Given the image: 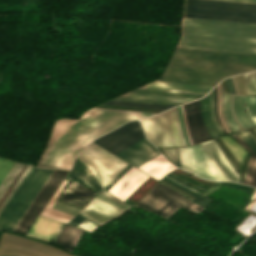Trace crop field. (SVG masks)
I'll return each instance as SVG.
<instances>
[{"label": "crop field", "mask_w": 256, "mask_h": 256, "mask_svg": "<svg viewBox=\"0 0 256 256\" xmlns=\"http://www.w3.org/2000/svg\"><path fill=\"white\" fill-rule=\"evenodd\" d=\"M150 115L153 114L92 108L79 120H58L37 166L69 169L75 156L94 138L122 123Z\"/></svg>", "instance_id": "1"}, {"label": "crop field", "mask_w": 256, "mask_h": 256, "mask_svg": "<svg viewBox=\"0 0 256 256\" xmlns=\"http://www.w3.org/2000/svg\"><path fill=\"white\" fill-rule=\"evenodd\" d=\"M251 70H256V55L176 48L157 80L213 86Z\"/></svg>", "instance_id": "2"}, {"label": "crop field", "mask_w": 256, "mask_h": 256, "mask_svg": "<svg viewBox=\"0 0 256 256\" xmlns=\"http://www.w3.org/2000/svg\"><path fill=\"white\" fill-rule=\"evenodd\" d=\"M177 47L256 54V24L182 17Z\"/></svg>", "instance_id": "3"}, {"label": "crop field", "mask_w": 256, "mask_h": 256, "mask_svg": "<svg viewBox=\"0 0 256 256\" xmlns=\"http://www.w3.org/2000/svg\"><path fill=\"white\" fill-rule=\"evenodd\" d=\"M52 172L50 169L31 167L0 213V231H12Z\"/></svg>", "instance_id": "4"}, {"label": "crop field", "mask_w": 256, "mask_h": 256, "mask_svg": "<svg viewBox=\"0 0 256 256\" xmlns=\"http://www.w3.org/2000/svg\"><path fill=\"white\" fill-rule=\"evenodd\" d=\"M236 2L256 3V0H226ZM256 4L213 1L187 0V17L256 23Z\"/></svg>", "instance_id": "5"}, {"label": "crop field", "mask_w": 256, "mask_h": 256, "mask_svg": "<svg viewBox=\"0 0 256 256\" xmlns=\"http://www.w3.org/2000/svg\"><path fill=\"white\" fill-rule=\"evenodd\" d=\"M148 139L159 147L186 145L177 107L146 120H140Z\"/></svg>", "instance_id": "6"}, {"label": "crop field", "mask_w": 256, "mask_h": 256, "mask_svg": "<svg viewBox=\"0 0 256 256\" xmlns=\"http://www.w3.org/2000/svg\"><path fill=\"white\" fill-rule=\"evenodd\" d=\"M191 201L158 183L136 206L143 207L169 219L180 207L197 214L203 210V207L192 204Z\"/></svg>", "instance_id": "7"}, {"label": "crop field", "mask_w": 256, "mask_h": 256, "mask_svg": "<svg viewBox=\"0 0 256 256\" xmlns=\"http://www.w3.org/2000/svg\"><path fill=\"white\" fill-rule=\"evenodd\" d=\"M78 158L92 170L103 188L128 164L94 143Z\"/></svg>", "instance_id": "8"}, {"label": "crop field", "mask_w": 256, "mask_h": 256, "mask_svg": "<svg viewBox=\"0 0 256 256\" xmlns=\"http://www.w3.org/2000/svg\"><path fill=\"white\" fill-rule=\"evenodd\" d=\"M130 208L131 206L123 204L103 191L94 197L80 214L98 225H103Z\"/></svg>", "instance_id": "9"}, {"label": "crop field", "mask_w": 256, "mask_h": 256, "mask_svg": "<svg viewBox=\"0 0 256 256\" xmlns=\"http://www.w3.org/2000/svg\"><path fill=\"white\" fill-rule=\"evenodd\" d=\"M67 172L68 171L54 170L34 201L31 203L27 211L24 213L18 224L13 229V232L25 235L26 231L32 225Z\"/></svg>", "instance_id": "10"}, {"label": "crop field", "mask_w": 256, "mask_h": 256, "mask_svg": "<svg viewBox=\"0 0 256 256\" xmlns=\"http://www.w3.org/2000/svg\"><path fill=\"white\" fill-rule=\"evenodd\" d=\"M143 137L145 135L139 122L134 121L124 124L94 142L116 155Z\"/></svg>", "instance_id": "11"}, {"label": "crop field", "mask_w": 256, "mask_h": 256, "mask_svg": "<svg viewBox=\"0 0 256 256\" xmlns=\"http://www.w3.org/2000/svg\"><path fill=\"white\" fill-rule=\"evenodd\" d=\"M179 155L184 170L204 179L218 181L201 144L181 147Z\"/></svg>", "instance_id": "12"}, {"label": "crop field", "mask_w": 256, "mask_h": 256, "mask_svg": "<svg viewBox=\"0 0 256 256\" xmlns=\"http://www.w3.org/2000/svg\"><path fill=\"white\" fill-rule=\"evenodd\" d=\"M220 181L238 182L239 177L221 153L214 140L202 143Z\"/></svg>", "instance_id": "13"}, {"label": "crop field", "mask_w": 256, "mask_h": 256, "mask_svg": "<svg viewBox=\"0 0 256 256\" xmlns=\"http://www.w3.org/2000/svg\"><path fill=\"white\" fill-rule=\"evenodd\" d=\"M186 121L193 143L210 140L201 118L200 100L184 105Z\"/></svg>", "instance_id": "14"}, {"label": "crop field", "mask_w": 256, "mask_h": 256, "mask_svg": "<svg viewBox=\"0 0 256 256\" xmlns=\"http://www.w3.org/2000/svg\"><path fill=\"white\" fill-rule=\"evenodd\" d=\"M149 176L131 168L120 180H118L107 192L124 201L135 189H137Z\"/></svg>", "instance_id": "15"}, {"label": "crop field", "mask_w": 256, "mask_h": 256, "mask_svg": "<svg viewBox=\"0 0 256 256\" xmlns=\"http://www.w3.org/2000/svg\"><path fill=\"white\" fill-rule=\"evenodd\" d=\"M244 102L246 104V112L253 122L245 113ZM234 110L239 123L244 129L256 125V96L234 95Z\"/></svg>", "instance_id": "16"}, {"label": "crop field", "mask_w": 256, "mask_h": 256, "mask_svg": "<svg viewBox=\"0 0 256 256\" xmlns=\"http://www.w3.org/2000/svg\"><path fill=\"white\" fill-rule=\"evenodd\" d=\"M96 193L72 180L59 199L84 207Z\"/></svg>", "instance_id": "17"}, {"label": "crop field", "mask_w": 256, "mask_h": 256, "mask_svg": "<svg viewBox=\"0 0 256 256\" xmlns=\"http://www.w3.org/2000/svg\"><path fill=\"white\" fill-rule=\"evenodd\" d=\"M139 88L206 94L212 87L154 81Z\"/></svg>", "instance_id": "18"}, {"label": "crop field", "mask_w": 256, "mask_h": 256, "mask_svg": "<svg viewBox=\"0 0 256 256\" xmlns=\"http://www.w3.org/2000/svg\"><path fill=\"white\" fill-rule=\"evenodd\" d=\"M59 224V222L38 216L27 234L51 241Z\"/></svg>", "instance_id": "19"}, {"label": "crop field", "mask_w": 256, "mask_h": 256, "mask_svg": "<svg viewBox=\"0 0 256 256\" xmlns=\"http://www.w3.org/2000/svg\"><path fill=\"white\" fill-rule=\"evenodd\" d=\"M141 171L149 174L150 176L160 180L168 172L175 169V166L168 162L161 154L147 162L140 168Z\"/></svg>", "instance_id": "20"}, {"label": "crop field", "mask_w": 256, "mask_h": 256, "mask_svg": "<svg viewBox=\"0 0 256 256\" xmlns=\"http://www.w3.org/2000/svg\"><path fill=\"white\" fill-rule=\"evenodd\" d=\"M72 178L80 180L83 184L90 187L91 190L95 191L96 193L102 190L90 170L77 159L75 160V164L67 179L71 180Z\"/></svg>", "instance_id": "21"}, {"label": "crop field", "mask_w": 256, "mask_h": 256, "mask_svg": "<svg viewBox=\"0 0 256 256\" xmlns=\"http://www.w3.org/2000/svg\"><path fill=\"white\" fill-rule=\"evenodd\" d=\"M82 233L83 230L65 224L56 244L72 252Z\"/></svg>", "instance_id": "22"}, {"label": "crop field", "mask_w": 256, "mask_h": 256, "mask_svg": "<svg viewBox=\"0 0 256 256\" xmlns=\"http://www.w3.org/2000/svg\"><path fill=\"white\" fill-rule=\"evenodd\" d=\"M158 154L160 153L157 148L150 143L123 160L138 167Z\"/></svg>", "instance_id": "23"}, {"label": "crop field", "mask_w": 256, "mask_h": 256, "mask_svg": "<svg viewBox=\"0 0 256 256\" xmlns=\"http://www.w3.org/2000/svg\"><path fill=\"white\" fill-rule=\"evenodd\" d=\"M231 136L252 155L242 183L256 187V154L235 134Z\"/></svg>", "instance_id": "24"}, {"label": "crop field", "mask_w": 256, "mask_h": 256, "mask_svg": "<svg viewBox=\"0 0 256 256\" xmlns=\"http://www.w3.org/2000/svg\"><path fill=\"white\" fill-rule=\"evenodd\" d=\"M67 183H68V180L65 179L41 215L51 217V218H54L57 220H61L66 223L73 217V215H70V214L64 213L62 211L51 208L52 205L55 203L57 197L60 195V193L65 188Z\"/></svg>", "instance_id": "25"}, {"label": "crop field", "mask_w": 256, "mask_h": 256, "mask_svg": "<svg viewBox=\"0 0 256 256\" xmlns=\"http://www.w3.org/2000/svg\"><path fill=\"white\" fill-rule=\"evenodd\" d=\"M201 107H202V117H203L205 127L209 131L212 139L218 138L221 135L219 134L218 130L216 129V127L213 123V119L211 117L210 94L207 97L201 99Z\"/></svg>", "instance_id": "26"}, {"label": "crop field", "mask_w": 256, "mask_h": 256, "mask_svg": "<svg viewBox=\"0 0 256 256\" xmlns=\"http://www.w3.org/2000/svg\"><path fill=\"white\" fill-rule=\"evenodd\" d=\"M103 104L116 105V106H127V107H137V108H148V109H159V110H166V109L172 107L171 105L149 104V103L117 101V100H110Z\"/></svg>", "instance_id": "27"}, {"label": "crop field", "mask_w": 256, "mask_h": 256, "mask_svg": "<svg viewBox=\"0 0 256 256\" xmlns=\"http://www.w3.org/2000/svg\"><path fill=\"white\" fill-rule=\"evenodd\" d=\"M221 139L223 140V142L227 145V147L232 151V153L236 156V158L243 165V160L248 155V153L245 151V149L241 145H239L229 135L223 136V137H221Z\"/></svg>", "instance_id": "28"}, {"label": "crop field", "mask_w": 256, "mask_h": 256, "mask_svg": "<svg viewBox=\"0 0 256 256\" xmlns=\"http://www.w3.org/2000/svg\"><path fill=\"white\" fill-rule=\"evenodd\" d=\"M23 167V164L15 163L13 168L10 170L4 181L0 185V199L16 177V175L19 173L21 168Z\"/></svg>", "instance_id": "29"}, {"label": "crop field", "mask_w": 256, "mask_h": 256, "mask_svg": "<svg viewBox=\"0 0 256 256\" xmlns=\"http://www.w3.org/2000/svg\"><path fill=\"white\" fill-rule=\"evenodd\" d=\"M122 96L123 97H134V98H145V99L179 101V102H186V101H189V100H193L192 98L168 97V96L133 94V93H126V94H124Z\"/></svg>", "instance_id": "30"}, {"label": "crop field", "mask_w": 256, "mask_h": 256, "mask_svg": "<svg viewBox=\"0 0 256 256\" xmlns=\"http://www.w3.org/2000/svg\"><path fill=\"white\" fill-rule=\"evenodd\" d=\"M131 92L145 93V94H157V95H168V96H180V97H192V98H199V97L204 96V95H200V94H188V93L165 92V91L142 90V89H135Z\"/></svg>", "instance_id": "31"}, {"label": "crop field", "mask_w": 256, "mask_h": 256, "mask_svg": "<svg viewBox=\"0 0 256 256\" xmlns=\"http://www.w3.org/2000/svg\"><path fill=\"white\" fill-rule=\"evenodd\" d=\"M162 180H164V181H166V182H168V183H170V184H172V185H174V186H176V187H178V188H180V189H182V190L188 192L189 194L195 196L196 198L192 201V203H195V204H198V205H201V206L206 207V206H208L210 203L213 202V200H211V199H209V198H207V197H204V196L197 195V194H195V193H193V192H191V191H189V190H187V189H185V188H183V187L177 185L176 183H173V182H171V181H169V180H167V179H165V178L162 179Z\"/></svg>", "instance_id": "32"}, {"label": "crop field", "mask_w": 256, "mask_h": 256, "mask_svg": "<svg viewBox=\"0 0 256 256\" xmlns=\"http://www.w3.org/2000/svg\"><path fill=\"white\" fill-rule=\"evenodd\" d=\"M148 143H150V142L146 138H143L142 140L138 141L137 143H135L134 145L127 148L126 150H124L123 152L119 153L116 156L123 159V158L127 157L128 155L132 154L133 152H135L136 150L140 149L141 147L145 146Z\"/></svg>", "instance_id": "33"}, {"label": "crop field", "mask_w": 256, "mask_h": 256, "mask_svg": "<svg viewBox=\"0 0 256 256\" xmlns=\"http://www.w3.org/2000/svg\"><path fill=\"white\" fill-rule=\"evenodd\" d=\"M244 75L246 79L248 94H256V72L246 73Z\"/></svg>", "instance_id": "34"}, {"label": "crop field", "mask_w": 256, "mask_h": 256, "mask_svg": "<svg viewBox=\"0 0 256 256\" xmlns=\"http://www.w3.org/2000/svg\"><path fill=\"white\" fill-rule=\"evenodd\" d=\"M242 140H244L256 152V139L250 134L248 130L236 133Z\"/></svg>", "instance_id": "35"}, {"label": "crop field", "mask_w": 256, "mask_h": 256, "mask_svg": "<svg viewBox=\"0 0 256 256\" xmlns=\"http://www.w3.org/2000/svg\"><path fill=\"white\" fill-rule=\"evenodd\" d=\"M224 109H225V115L226 118L230 124V126L232 127L233 131L235 130H239V128L237 127L236 123L234 122L231 114H230V109H229V95L225 93V98H224Z\"/></svg>", "instance_id": "36"}, {"label": "crop field", "mask_w": 256, "mask_h": 256, "mask_svg": "<svg viewBox=\"0 0 256 256\" xmlns=\"http://www.w3.org/2000/svg\"><path fill=\"white\" fill-rule=\"evenodd\" d=\"M3 159V158H2ZM0 159V183L3 181L9 170L14 165V162Z\"/></svg>", "instance_id": "37"}, {"label": "crop field", "mask_w": 256, "mask_h": 256, "mask_svg": "<svg viewBox=\"0 0 256 256\" xmlns=\"http://www.w3.org/2000/svg\"><path fill=\"white\" fill-rule=\"evenodd\" d=\"M30 169L29 166H27V168L25 169V171L22 173V175L20 176V178L18 179V181L16 182V184L13 186V188L11 189V191L9 192V194L7 195V197L4 199V201L2 202V204L0 205V212L3 209V207L5 206V204L7 203V201L9 200V198L11 197V195L13 194V192L15 191V189L17 188V186L19 185V183L22 181V179L24 178V176L26 175V173L28 172V170Z\"/></svg>", "instance_id": "38"}, {"label": "crop field", "mask_w": 256, "mask_h": 256, "mask_svg": "<svg viewBox=\"0 0 256 256\" xmlns=\"http://www.w3.org/2000/svg\"><path fill=\"white\" fill-rule=\"evenodd\" d=\"M114 99L117 100H128V101H139V102H149V103H160V104H171V105H178L181 104L179 102H168V101H156V100H145V99H134V98H122L116 97Z\"/></svg>", "instance_id": "39"}, {"label": "crop field", "mask_w": 256, "mask_h": 256, "mask_svg": "<svg viewBox=\"0 0 256 256\" xmlns=\"http://www.w3.org/2000/svg\"><path fill=\"white\" fill-rule=\"evenodd\" d=\"M132 166L129 164L104 188V190H108L119 178H121Z\"/></svg>", "instance_id": "40"}, {"label": "crop field", "mask_w": 256, "mask_h": 256, "mask_svg": "<svg viewBox=\"0 0 256 256\" xmlns=\"http://www.w3.org/2000/svg\"><path fill=\"white\" fill-rule=\"evenodd\" d=\"M221 184L223 186H227V187H231V188H235V189H239V190H243V191H249L250 187L248 186H243L241 184H237V183H230V182H221Z\"/></svg>", "instance_id": "41"}, {"label": "crop field", "mask_w": 256, "mask_h": 256, "mask_svg": "<svg viewBox=\"0 0 256 256\" xmlns=\"http://www.w3.org/2000/svg\"><path fill=\"white\" fill-rule=\"evenodd\" d=\"M79 227H81V228H83V229H85V230H87V231H89V232H92V231H94L96 228H97V225H95V224H93V223H91L90 221H88V220H84L80 225H79Z\"/></svg>", "instance_id": "42"}, {"label": "crop field", "mask_w": 256, "mask_h": 256, "mask_svg": "<svg viewBox=\"0 0 256 256\" xmlns=\"http://www.w3.org/2000/svg\"><path fill=\"white\" fill-rule=\"evenodd\" d=\"M217 90H218V114H219V119L224 127V129L227 131V133H229L228 128L226 127V125L224 124L223 120H222V116H221V110H220V89H219V85H217Z\"/></svg>", "instance_id": "43"}, {"label": "crop field", "mask_w": 256, "mask_h": 256, "mask_svg": "<svg viewBox=\"0 0 256 256\" xmlns=\"http://www.w3.org/2000/svg\"><path fill=\"white\" fill-rule=\"evenodd\" d=\"M220 89H221V109H222L223 120H224V122L226 123L227 127L229 128L230 132H232V129H231V127L229 126V124H228V122H227V120H226V118H225V115H224V109H223V95H224V91H223L221 85H220Z\"/></svg>", "instance_id": "44"}, {"label": "crop field", "mask_w": 256, "mask_h": 256, "mask_svg": "<svg viewBox=\"0 0 256 256\" xmlns=\"http://www.w3.org/2000/svg\"><path fill=\"white\" fill-rule=\"evenodd\" d=\"M163 151L166 153V155L169 157L170 160L176 163L174 148L163 149Z\"/></svg>", "instance_id": "45"}, {"label": "crop field", "mask_w": 256, "mask_h": 256, "mask_svg": "<svg viewBox=\"0 0 256 256\" xmlns=\"http://www.w3.org/2000/svg\"><path fill=\"white\" fill-rule=\"evenodd\" d=\"M56 204H59V205H62V206H65V207H68V208H71V209H74V210H77V211L80 210V209H77V208H75V207H72V206L63 204V203L58 202V201H56ZM56 204H55V205H56ZM55 205H54V206H55ZM59 205H58V206H59ZM54 206H53V208H56V207H54ZM58 206H57V207H58ZM62 206H61V207H62ZM61 207H59V208H61ZM65 207H64V208H65ZM59 208H56V209H59ZM64 208H62V209H64ZM68 208H67V209H68ZM62 209H59V210H62ZM67 209H65V210H67ZM71 209H70V210H71ZM70 210H67V211H70ZM74 210H73V211H74ZM62 211H64V210H62ZM67 211H64V212H67ZM73 211H70V212H73ZM77 211H76V212H77ZM70 212H67V213H70ZM76 212H73V213L76 214ZM70 214H72V213H70ZM75 214H73V215H75Z\"/></svg>", "instance_id": "46"}, {"label": "crop field", "mask_w": 256, "mask_h": 256, "mask_svg": "<svg viewBox=\"0 0 256 256\" xmlns=\"http://www.w3.org/2000/svg\"><path fill=\"white\" fill-rule=\"evenodd\" d=\"M169 175V174H168ZM165 176V177H167V178H169V179H171V180H173V181H175V182H177L178 184H180V185H182V186H184V187H186V188H188V189H190V190H192V191H194V192H196V193H201V191H199V190H197V189H195V188H193V187H190V186H188V185H186V184H184V183H182V182H180V181H178V180H176V179H174V178H172V177H170V176Z\"/></svg>", "instance_id": "47"}, {"label": "crop field", "mask_w": 256, "mask_h": 256, "mask_svg": "<svg viewBox=\"0 0 256 256\" xmlns=\"http://www.w3.org/2000/svg\"><path fill=\"white\" fill-rule=\"evenodd\" d=\"M85 218H83L81 215H77L74 219H72L69 224L78 226Z\"/></svg>", "instance_id": "48"}, {"label": "crop field", "mask_w": 256, "mask_h": 256, "mask_svg": "<svg viewBox=\"0 0 256 256\" xmlns=\"http://www.w3.org/2000/svg\"><path fill=\"white\" fill-rule=\"evenodd\" d=\"M214 97H215V115H216V118H217V120L220 124V121L218 119V114H217V90H216V87L214 88ZM220 126H221V124H220ZM221 128H222L223 132L226 134V131L223 129L222 126H221Z\"/></svg>", "instance_id": "49"}, {"label": "crop field", "mask_w": 256, "mask_h": 256, "mask_svg": "<svg viewBox=\"0 0 256 256\" xmlns=\"http://www.w3.org/2000/svg\"><path fill=\"white\" fill-rule=\"evenodd\" d=\"M230 108H231V114L235 120V122L237 123L238 127L240 128V130H242V127L240 126V124L237 122L235 115H234V111H233V95H230Z\"/></svg>", "instance_id": "50"}, {"label": "crop field", "mask_w": 256, "mask_h": 256, "mask_svg": "<svg viewBox=\"0 0 256 256\" xmlns=\"http://www.w3.org/2000/svg\"><path fill=\"white\" fill-rule=\"evenodd\" d=\"M211 104H214V97H213V90L211 91ZM211 113H212V105H211ZM213 114H214V105H213ZM213 114H212V117H213ZM214 118H215V116H214ZM213 118V119H214ZM215 121H216V119H215ZM216 123H217V121H216ZM216 125V124H215ZM217 125H218V127H219V129L221 130V128H220V126H219V124L217 123ZM217 125H216V127H217ZM217 127V128H218ZM218 129V130H219ZM220 132V131H219ZM221 132H222V130H221ZM222 134H223V132H222ZM224 135V134H223Z\"/></svg>", "instance_id": "51"}, {"label": "crop field", "mask_w": 256, "mask_h": 256, "mask_svg": "<svg viewBox=\"0 0 256 256\" xmlns=\"http://www.w3.org/2000/svg\"><path fill=\"white\" fill-rule=\"evenodd\" d=\"M178 110H179V116H180V120H181V124H182V128H183V132H184V136H185L186 144H187V145H189V143H188V139H187V136H186V132H185V128H184V124H183V120H182V115H181V109H180V106L178 107Z\"/></svg>", "instance_id": "52"}, {"label": "crop field", "mask_w": 256, "mask_h": 256, "mask_svg": "<svg viewBox=\"0 0 256 256\" xmlns=\"http://www.w3.org/2000/svg\"><path fill=\"white\" fill-rule=\"evenodd\" d=\"M242 76H243V75H242ZM238 77H239V75H238ZM235 78H236V82H237V86H238V91H239V94H240L239 81L241 80V84H242V77H241V75H240V80H239V81H238L237 76H236ZM243 78H244V76H243ZM241 84H240V87H241ZM244 85H245V89H246L245 80H244ZM242 92H243V94H244L243 86H242ZM241 94H242V93H241ZM245 94H247V91L245 92Z\"/></svg>", "instance_id": "53"}, {"label": "crop field", "mask_w": 256, "mask_h": 256, "mask_svg": "<svg viewBox=\"0 0 256 256\" xmlns=\"http://www.w3.org/2000/svg\"><path fill=\"white\" fill-rule=\"evenodd\" d=\"M228 80V84H229V87H230V90L233 94H236L235 93V89H234V85H233V82H232V79L231 78H227Z\"/></svg>", "instance_id": "54"}, {"label": "crop field", "mask_w": 256, "mask_h": 256, "mask_svg": "<svg viewBox=\"0 0 256 256\" xmlns=\"http://www.w3.org/2000/svg\"><path fill=\"white\" fill-rule=\"evenodd\" d=\"M181 108H182L183 119H184V123H185V127H186V121H185V115H184V111H183V105L181 106ZM186 131H187L189 143H190V145H192L193 143H192V141H191V139H190V136H189V132H188V130H187V127H186Z\"/></svg>", "instance_id": "55"}, {"label": "crop field", "mask_w": 256, "mask_h": 256, "mask_svg": "<svg viewBox=\"0 0 256 256\" xmlns=\"http://www.w3.org/2000/svg\"><path fill=\"white\" fill-rule=\"evenodd\" d=\"M63 226H64V224L61 223L60 226H59V228H58V230H57V232H56V234H55V236H54V238L52 239V242H54V240L56 239V237L59 235V233L61 232Z\"/></svg>", "instance_id": "56"}, {"label": "crop field", "mask_w": 256, "mask_h": 256, "mask_svg": "<svg viewBox=\"0 0 256 256\" xmlns=\"http://www.w3.org/2000/svg\"><path fill=\"white\" fill-rule=\"evenodd\" d=\"M215 142L218 144V146L220 147V149L223 151V153L226 155V153L224 152V150L221 148V146L219 145V143L216 141V139H215ZM226 157H227V155H226ZM228 158V157H227ZM229 159V158H228ZM229 161H230V159H229ZM231 162V161H230ZM232 163V162H231ZM232 165L234 166V164L232 163ZM234 168L237 170V172L238 173H240L239 171H238V169L234 166Z\"/></svg>", "instance_id": "57"}, {"label": "crop field", "mask_w": 256, "mask_h": 256, "mask_svg": "<svg viewBox=\"0 0 256 256\" xmlns=\"http://www.w3.org/2000/svg\"><path fill=\"white\" fill-rule=\"evenodd\" d=\"M175 152H176L177 166L181 167L180 164H179L178 148L175 149Z\"/></svg>", "instance_id": "58"}, {"label": "crop field", "mask_w": 256, "mask_h": 256, "mask_svg": "<svg viewBox=\"0 0 256 256\" xmlns=\"http://www.w3.org/2000/svg\"><path fill=\"white\" fill-rule=\"evenodd\" d=\"M160 183H162V184H164V185H166V186H168V187H170V188H172V189H174L173 187H171V186H169V185H167V184H165V183H163V182H160ZM175 191H177V192H179V193H181V194H183L182 192H180V191H178V190H176V189H174ZM184 196H186V197H188V198H190L189 196H187V195H185V194H183ZM191 199V198H190ZM193 200V199H192Z\"/></svg>", "instance_id": "59"}, {"label": "crop field", "mask_w": 256, "mask_h": 256, "mask_svg": "<svg viewBox=\"0 0 256 256\" xmlns=\"http://www.w3.org/2000/svg\"><path fill=\"white\" fill-rule=\"evenodd\" d=\"M232 79H233V82H234V85H235L236 93L238 94L234 77Z\"/></svg>", "instance_id": "60"}, {"label": "crop field", "mask_w": 256, "mask_h": 256, "mask_svg": "<svg viewBox=\"0 0 256 256\" xmlns=\"http://www.w3.org/2000/svg\"><path fill=\"white\" fill-rule=\"evenodd\" d=\"M254 191H255V190H254ZM255 196H256V191H255V193H254V195H253L252 199H253ZM252 199H251V200H252Z\"/></svg>", "instance_id": "61"}, {"label": "crop field", "mask_w": 256, "mask_h": 256, "mask_svg": "<svg viewBox=\"0 0 256 256\" xmlns=\"http://www.w3.org/2000/svg\"><path fill=\"white\" fill-rule=\"evenodd\" d=\"M256 130V128H254Z\"/></svg>", "instance_id": "62"}]
</instances>
